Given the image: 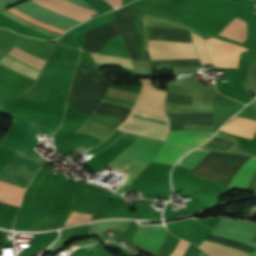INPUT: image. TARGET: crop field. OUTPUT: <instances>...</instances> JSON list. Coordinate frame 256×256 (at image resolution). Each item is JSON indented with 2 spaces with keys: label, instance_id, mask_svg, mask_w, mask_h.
I'll use <instances>...</instances> for the list:
<instances>
[{
  "label": "crop field",
  "instance_id": "15",
  "mask_svg": "<svg viewBox=\"0 0 256 256\" xmlns=\"http://www.w3.org/2000/svg\"><path fill=\"white\" fill-rule=\"evenodd\" d=\"M255 169L256 157H252L235 175L229 187L247 189V185Z\"/></svg>",
  "mask_w": 256,
  "mask_h": 256
},
{
  "label": "crop field",
  "instance_id": "1",
  "mask_svg": "<svg viewBox=\"0 0 256 256\" xmlns=\"http://www.w3.org/2000/svg\"><path fill=\"white\" fill-rule=\"evenodd\" d=\"M163 142L136 136L133 144L126 148L107 167L113 172L125 174L115 191L119 193L130 184L142 170L157 156Z\"/></svg>",
  "mask_w": 256,
  "mask_h": 256
},
{
  "label": "crop field",
  "instance_id": "19",
  "mask_svg": "<svg viewBox=\"0 0 256 256\" xmlns=\"http://www.w3.org/2000/svg\"><path fill=\"white\" fill-rule=\"evenodd\" d=\"M7 55V54H6ZM5 55V56H6ZM3 57L1 60H0V64H2V65H4V66H6V67H9V68H11V69H13V70H15V71H18V72H20V73H22V74H24V75H26V76H29V77H32V78H34V79H36V77H37V75H38V72H39V70H37V69H34V68H32V67H29V66H27V65H25V64H23V63H20V62H18V61H16V60H14V61H16V62H18V63H20V64H22V65H24V66H26V67H29V68H31V69H34V70H36V71H38V72H36V71H34V70H31V69H29V68H26V67H24V66H22V65H20V64H18V63H16V62H14V61H12L11 59H9V58H7V57Z\"/></svg>",
  "mask_w": 256,
  "mask_h": 256
},
{
  "label": "crop field",
  "instance_id": "7",
  "mask_svg": "<svg viewBox=\"0 0 256 256\" xmlns=\"http://www.w3.org/2000/svg\"><path fill=\"white\" fill-rule=\"evenodd\" d=\"M206 44L214 65L219 67H237L240 52L248 50L215 38L207 39Z\"/></svg>",
  "mask_w": 256,
  "mask_h": 256
},
{
  "label": "crop field",
  "instance_id": "23",
  "mask_svg": "<svg viewBox=\"0 0 256 256\" xmlns=\"http://www.w3.org/2000/svg\"><path fill=\"white\" fill-rule=\"evenodd\" d=\"M195 41H196V50L199 55V58L202 62V64L211 63L206 52H205V39L201 38L200 36L195 34Z\"/></svg>",
  "mask_w": 256,
  "mask_h": 256
},
{
  "label": "crop field",
  "instance_id": "2",
  "mask_svg": "<svg viewBox=\"0 0 256 256\" xmlns=\"http://www.w3.org/2000/svg\"><path fill=\"white\" fill-rule=\"evenodd\" d=\"M32 121L30 120H16L13 121L12 125L8 129L4 140L2 141V145H6L12 148L15 151H18ZM45 133L52 137L53 132L50 131L47 127L33 122L20 149L19 153L26 157H31L37 160H42L43 158L34 150V146L38 144L37 134Z\"/></svg>",
  "mask_w": 256,
  "mask_h": 256
},
{
  "label": "crop field",
  "instance_id": "25",
  "mask_svg": "<svg viewBox=\"0 0 256 256\" xmlns=\"http://www.w3.org/2000/svg\"><path fill=\"white\" fill-rule=\"evenodd\" d=\"M99 4L105 7L107 10L113 9L109 4H107L104 0H96Z\"/></svg>",
  "mask_w": 256,
  "mask_h": 256
},
{
  "label": "crop field",
  "instance_id": "3",
  "mask_svg": "<svg viewBox=\"0 0 256 256\" xmlns=\"http://www.w3.org/2000/svg\"><path fill=\"white\" fill-rule=\"evenodd\" d=\"M115 193L86 183L83 190L68 211L60 227L83 222L93 218L97 206L111 199Z\"/></svg>",
  "mask_w": 256,
  "mask_h": 256
},
{
  "label": "crop field",
  "instance_id": "26",
  "mask_svg": "<svg viewBox=\"0 0 256 256\" xmlns=\"http://www.w3.org/2000/svg\"><path fill=\"white\" fill-rule=\"evenodd\" d=\"M121 1L122 0H109V2H111L116 7H121Z\"/></svg>",
  "mask_w": 256,
  "mask_h": 256
},
{
  "label": "crop field",
  "instance_id": "10",
  "mask_svg": "<svg viewBox=\"0 0 256 256\" xmlns=\"http://www.w3.org/2000/svg\"><path fill=\"white\" fill-rule=\"evenodd\" d=\"M213 133L200 131H170L165 142H176L198 146L209 138Z\"/></svg>",
  "mask_w": 256,
  "mask_h": 256
},
{
  "label": "crop field",
  "instance_id": "12",
  "mask_svg": "<svg viewBox=\"0 0 256 256\" xmlns=\"http://www.w3.org/2000/svg\"><path fill=\"white\" fill-rule=\"evenodd\" d=\"M256 130V121L235 117L230 123L222 127L221 131L234 135L252 138Z\"/></svg>",
  "mask_w": 256,
  "mask_h": 256
},
{
  "label": "crop field",
  "instance_id": "24",
  "mask_svg": "<svg viewBox=\"0 0 256 256\" xmlns=\"http://www.w3.org/2000/svg\"><path fill=\"white\" fill-rule=\"evenodd\" d=\"M188 245V242L181 239L177 248L173 251V253L170 256H182Z\"/></svg>",
  "mask_w": 256,
  "mask_h": 256
},
{
  "label": "crop field",
  "instance_id": "14",
  "mask_svg": "<svg viewBox=\"0 0 256 256\" xmlns=\"http://www.w3.org/2000/svg\"><path fill=\"white\" fill-rule=\"evenodd\" d=\"M24 191V188L0 182V202L19 207Z\"/></svg>",
  "mask_w": 256,
  "mask_h": 256
},
{
  "label": "crop field",
  "instance_id": "8",
  "mask_svg": "<svg viewBox=\"0 0 256 256\" xmlns=\"http://www.w3.org/2000/svg\"><path fill=\"white\" fill-rule=\"evenodd\" d=\"M166 93L154 88L150 79H142V91L134 110L166 115L164 111Z\"/></svg>",
  "mask_w": 256,
  "mask_h": 256
},
{
  "label": "crop field",
  "instance_id": "4",
  "mask_svg": "<svg viewBox=\"0 0 256 256\" xmlns=\"http://www.w3.org/2000/svg\"><path fill=\"white\" fill-rule=\"evenodd\" d=\"M33 1L43 5L45 7L53 9V10H55L57 12H60V13L65 14L67 16H70V17H72L74 19H77L79 21H84V20H86L87 18H89L91 16L99 14L97 12H94L95 10L92 7H90L88 4H86L83 0H68V1L74 2L76 4H79L81 6H84L86 8L91 9V10H94V11H91L89 9H86L84 7H81L79 5H76L74 3H71V2H68V1H65V0H33ZM10 10L15 12V13H17L18 15H20V16H22V17H24V18H26V19L36 23V24H38V25H42V26L48 27L50 29H53V30H56V31H59V32H62V33L65 32V30L56 28L54 26H51V25H48V24H45V23H41V22L33 19L32 17L24 14L23 12L15 9V8H12ZM6 11L8 13H10V14L18 17V18H20L21 20H23V21H25V22L35 26V27L44 29V30L52 32V33H55V34H57L59 36L61 35V33H59V32L50 30V29L42 27V26L35 25V24L29 22L28 20L18 16L17 14H15V13L9 11V10H6Z\"/></svg>",
  "mask_w": 256,
  "mask_h": 256
},
{
  "label": "crop field",
  "instance_id": "5",
  "mask_svg": "<svg viewBox=\"0 0 256 256\" xmlns=\"http://www.w3.org/2000/svg\"><path fill=\"white\" fill-rule=\"evenodd\" d=\"M41 163L40 161L27 159L14 153L0 174V180L21 187H27Z\"/></svg>",
  "mask_w": 256,
  "mask_h": 256
},
{
  "label": "crop field",
  "instance_id": "6",
  "mask_svg": "<svg viewBox=\"0 0 256 256\" xmlns=\"http://www.w3.org/2000/svg\"><path fill=\"white\" fill-rule=\"evenodd\" d=\"M150 60L198 58L194 44L149 40Z\"/></svg>",
  "mask_w": 256,
  "mask_h": 256
},
{
  "label": "crop field",
  "instance_id": "13",
  "mask_svg": "<svg viewBox=\"0 0 256 256\" xmlns=\"http://www.w3.org/2000/svg\"><path fill=\"white\" fill-rule=\"evenodd\" d=\"M87 21L79 26H75L69 29L61 38L50 41H54L80 50Z\"/></svg>",
  "mask_w": 256,
  "mask_h": 256
},
{
  "label": "crop field",
  "instance_id": "16",
  "mask_svg": "<svg viewBox=\"0 0 256 256\" xmlns=\"http://www.w3.org/2000/svg\"><path fill=\"white\" fill-rule=\"evenodd\" d=\"M220 35L243 42L247 38L246 22L236 17Z\"/></svg>",
  "mask_w": 256,
  "mask_h": 256
},
{
  "label": "crop field",
  "instance_id": "11",
  "mask_svg": "<svg viewBox=\"0 0 256 256\" xmlns=\"http://www.w3.org/2000/svg\"><path fill=\"white\" fill-rule=\"evenodd\" d=\"M194 147L182 144L164 143L158 156L153 161H160L168 164H174L186 152Z\"/></svg>",
  "mask_w": 256,
  "mask_h": 256
},
{
  "label": "crop field",
  "instance_id": "22",
  "mask_svg": "<svg viewBox=\"0 0 256 256\" xmlns=\"http://www.w3.org/2000/svg\"><path fill=\"white\" fill-rule=\"evenodd\" d=\"M179 239L167 233V237L156 256H169L177 245Z\"/></svg>",
  "mask_w": 256,
  "mask_h": 256
},
{
  "label": "crop field",
  "instance_id": "17",
  "mask_svg": "<svg viewBox=\"0 0 256 256\" xmlns=\"http://www.w3.org/2000/svg\"><path fill=\"white\" fill-rule=\"evenodd\" d=\"M200 248L211 256H249V254L234 248L204 241Z\"/></svg>",
  "mask_w": 256,
  "mask_h": 256
},
{
  "label": "crop field",
  "instance_id": "21",
  "mask_svg": "<svg viewBox=\"0 0 256 256\" xmlns=\"http://www.w3.org/2000/svg\"><path fill=\"white\" fill-rule=\"evenodd\" d=\"M91 55L94 58L95 62L115 64V65H121V66L132 68L130 59L99 55V54H93V53H91Z\"/></svg>",
  "mask_w": 256,
  "mask_h": 256
},
{
  "label": "crop field",
  "instance_id": "18",
  "mask_svg": "<svg viewBox=\"0 0 256 256\" xmlns=\"http://www.w3.org/2000/svg\"><path fill=\"white\" fill-rule=\"evenodd\" d=\"M7 54L27 63L29 65L35 66L39 69H41V67L44 63V60H42L38 57H35L16 46L14 48H12Z\"/></svg>",
  "mask_w": 256,
  "mask_h": 256
},
{
  "label": "crop field",
  "instance_id": "27",
  "mask_svg": "<svg viewBox=\"0 0 256 256\" xmlns=\"http://www.w3.org/2000/svg\"><path fill=\"white\" fill-rule=\"evenodd\" d=\"M250 256H256V251L253 254H251Z\"/></svg>",
  "mask_w": 256,
  "mask_h": 256
},
{
  "label": "crop field",
  "instance_id": "20",
  "mask_svg": "<svg viewBox=\"0 0 256 256\" xmlns=\"http://www.w3.org/2000/svg\"><path fill=\"white\" fill-rule=\"evenodd\" d=\"M192 152V151H191ZM209 153V151L203 150L196 148L192 153L189 155L185 156L179 163L178 165H182L185 167H193L196 165L204 156H206Z\"/></svg>",
  "mask_w": 256,
  "mask_h": 256
},
{
  "label": "crop field",
  "instance_id": "9",
  "mask_svg": "<svg viewBox=\"0 0 256 256\" xmlns=\"http://www.w3.org/2000/svg\"><path fill=\"white\" fill-rule=\"evenodd\" d=\"M167 230L159 227H139L132 241L157 253L162 245Z\"/></svg>",
  "mask_w": 256,
  "mask_h": 256
}]
</instances>
